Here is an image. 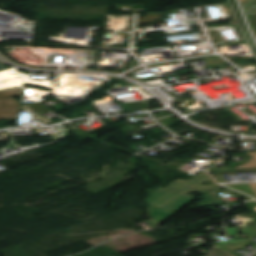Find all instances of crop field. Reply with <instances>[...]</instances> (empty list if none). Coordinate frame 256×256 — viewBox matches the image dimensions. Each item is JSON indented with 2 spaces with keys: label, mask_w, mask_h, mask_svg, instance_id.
<instances>
[{
  "label": "crop field",
  "mask_w": 256,
  "mask_h": 256,
  "mask_svg": "<svg viewBox=\"0 0 256 256\" xmlns=\"http://www.w3.org/2000/svg\"><path fill=\"white\" fill-rule=\"evenodd\" d=\"M221 190V187L218 185L206 194L202 196L203 200L201 203H199L200 207H207V206H213V205H219L223 204V200H221L219 197L216 196V193Z\"/></svg>",
  "instance_id": "obj_3"
},
{
  "label": "crop field",
  "mask_w": 256,
  "mask_h": 256,
  "mask_svg": "<svg viewBox=\"0 0 256 256\" xmlns=\"http://www.w3.org/2000/svg\"><path fill=\"white\" fill-rule=\"evenodd\" d=\"M6 69L5 67H3V65L0 64V70H4Z\"/></svg>",
  "instance_id": "obj_9"
},
{
  "label": "crop field",
  "mask_w": 256,
  "mask_h": 256,
  "mask_svg": "<svg viewBox=\"0 0 256 256\" xmlns=\"http://www.w3.org/2000/svg\"><path fill=\"white\" fill-rule=\"evenodd\" d=\"M247 14L256 13V0H250L245 4Z\"/></svg>",
  "instance_id": "obj_7"
},
{
  "label": "crop field",
  "mask_w": 256,
  "mask_h": 256,
  "mask_svg": "<svg viewBox=\"0 0 256 256\" xmlns=\"http://www.w3.org/2000/svg\"><path fill=\"white\" fill-rule=\"evenodd\" d=\"M253 191L256 193V184H250Z\"/></svg>",
  "instance_id": "obj_8"
},
{
  "label": "crop field",
  "mask_w": 256,
  "mask_h": 256,
  "mask_svg": "<svg viewBox=\"0 0 256 256\" xmlns=\"http://www.w3.org/2000/svg\"><path fill=\"white\" fill-rule=\"evenodd\" d=\"M247 154L252 155L254 157L244 165L237 167L235 169L256 168V152H248Z\"/></svg>",
  "instance_id": "obj_5"
},
{
  "label": "crop field",
  "mask_w": 256,
  "mask_h": 256,
  "mask_svg": "<svg viewBox=\"0 0 256 256\" xmlns=\"http://www.w3.org/2000/svg\"><path fill=\"white\" fill-rule=\"evenodd\" d=\"M21 1H23V0H21Z\"/></svg>",
  "instance_id": "obj_10"
},
{
  "label": "crop field",
  "mask_w": 256,
  "mask_h": 256,
  "mask_svg": "<svg viewBox=\"0 0 256 256\" xmlns=\"http://www.w3.org/2000/svg\"><path fill=\"white\" fill-rule=\"evenodd\" d=\"M256 255V254H255Z\"/></svg>",
  "instance_id": "obj_11"
},
{
  "label": "crop field",
  "mask_w": 256,
  "mask_h": 256,
  "mask_svg": "<svg viewBox=\"0 0 256 256\" xmlns=\"http://www.w3.org/2000/svg\"><path fill=\"white\" fill-rule=\"evenodd\" d=\"M174 213L175 212L163 210V209L152 207V206L148 207V214L152 218L158 220L159 223L163 222L164 220H166L168 217H170Z\"/></svg>",
  "instance_id": "obj_4"
},
{
  "label": "crop field",
  "mask_w": 256,
  "mask_h": 256,
  "mask_svg": "<svg viewBox=\"0 0 256 256\" xmlns=\"http://www.w3.org/2000/svg\"><path fill=\"white\" fill-rule=\"evenodd\" d=\"M208 181L213 182L214 185L202 186V184ZM216 185L218 184L213 181L206 172H200L189 181L177 179L171 182L167 186V188L165 187L166 189L159 187L157 190L149 195L145 202L148 205L177 212L193 200L192 197L186 193L199 192L204 194Z\"/></svg>",
  "instance_id": "obj_1"
},
{
  "label": "crop field",
  "mask_w": 256,
  "mask_h": 256,
  "mask_svg": "<svg viewBox=\"0 0 256 256\" xmlns=\"http://www.w3.org/2000/svg\"><path fill=\"white\" fill-rule=\"evenodd\" d=\"M206 256H232V255L214 246Z\"/></svg>",
  "instance_id": "obj_6"
},
{
  "label": "crop field",
  "mask_w": 256,
  "mask_h": 256,
  "mask_svg": "<svg viewBox=\"0 0 256 256\" xmlns=\"http://www.w3.org/2000/svg\"><path fill=\"white\" fill-rule=\"evenodd\" d=\"M23 88L17 87L0 91V120L8 119L17 121L19 102L14 96H22Z\"/></svg>",
  "instance_id": "obj_2"
}]
</instances>
